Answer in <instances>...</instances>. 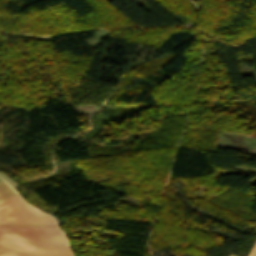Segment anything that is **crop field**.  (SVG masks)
<instances>
[{
  "label": "crop field",
  "mask_w": 256,
  "mask_h": 256,
  "mask_svg": "<svg viewBox=\"0 0 256 256\" xmlns=\"http://www.w3.org/2000/svg\"><path fill=\"white\" fill-rule=\"evenodd\" d=\"M0 247L69 249L56 226L0 225Z\"/></svg>",
  "instance_id": "obj_1"
},
{
  "label": "crop field",
  "mask_w": 256,
  "mask_h": 256,
  "mask_svg": "<svg viewBox=\"0 0 256 256\" xmlns=\"http://www.w3.org/2000/svg\"><path fill=\"white\" fill-rule=\"evenodd\" d=\"M0 223L55 225L52 217L30 207L18 195L0 202Z\"/></svg>",
  "instance_id": "obj_2"
},
{
  "label": "crop field",
  "mask_w": 256,
  "mask_h": 256,
  "mask_svg": "<svg viewBox=\"0 0 256 256\" xmlns=\"http://www.w3.org/2000/svg\"><path fill=\"white\" fill-rule=\"evenodd\" d=\"M0 256H72L69 250L0 249Z\"/></svg>",
  "instance_id": "obj_3"
},
{
  "label": "crop field",
  "mask_w": 256,
  "mask_h": 256,
  "mask_svg": "<svg viewBox=\"0 0 256 256\" xmlns=\"http://www.w3.org/2000/svg\"><path fill=\"white\" fill-rule=\"evenodd\" d=\"M16 193L4 182H0V201L7 199Z\"/></svg>",
  "instance_id": "obj_4"
},
{
  "label": "crop field",
  "mask_w": 256,
  "mask_h": 256,
  "mask_svg": "<svg viewBox=\"0 0 256 256\" xmlns=\"http://www.w3.org/2000/svg\"><path fill=\"white\" fill-rule=\"evenodd\" d=\"M0 176L16 191V188L18 186L17 182H15L14 180L10 179L9 177H7L2 172H0Z\"/></svg>",
  "instance_id": "obj_5"
},
{
  "label": "crop field",
  "mask_w": 256,
  "mask_h": 256,
  "mask_svg": "<svg viewBox=\"0 0 256 256\" xmlns=\"http://www.w3.org/2000/svg\"><path fill=\"white\" fill-rule=\"evenodd\" d=\"M248 256H256V242H255V244H254V246H253V248H252V250H251V252Z\"/></svg>",
  "instance_id": "obj_6"
},
{
  "label": "crop field",
  "mask_w": 256,
  "mask_h": 256,
  "mask_svg": "<svg viewBox=\"0 0 256 256\" xmlns=\"http://www.w3.org/2000/svg\"><path fill=\"white\" fill-rule=\"evenodd\" d=\"M230 255H231V254H230ZM231 256H235V255L232 254Z\"/></svg>",
  "instance_id": "obj_7"
},
{
  "label": "crop field",
  "mask_w": 256,
  "mask_h": 256,
  "mask_svg": "<svg viewBox=\"0 0 256 256\" xmlns=\"http://www.w3.org/2000/svg\"><path fill=\"white\" fill-rule=\"evenodd\" d=\"M0 181H2V179L0 178Z\"/></svg>",
  "instance_id": "obj_8"
}]
</instances>
